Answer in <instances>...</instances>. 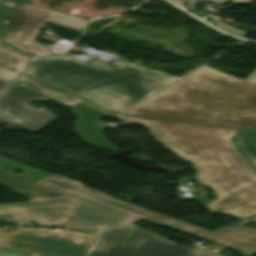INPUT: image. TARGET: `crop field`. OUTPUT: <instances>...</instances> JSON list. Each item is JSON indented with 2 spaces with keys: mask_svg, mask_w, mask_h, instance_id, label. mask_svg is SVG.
<instances>
[{
  "mask_svg": "<svg viewBox=\"0 0 256 256\" xmlns=\"http://www.w3.org/2000/svg\"><path fill=\"white\" fill-rule=\"evenodd\" d=\"M122 118L146 125L165 146L196 165L198 180L217 198L205 205L213 213L240 219L256 213V171L229 139L238 130L126 115Z\"/></svg>",
  "mask_w": 256,
  "mask_h": 256,
  "instance_id": "obj_1",
  "label": "crop field"
},
{
  "mask_svg": "<svg viewBox=\"0 0 256 256\" xmlns=\"http://www.w3.org/2000/svg\"><path fill=\"white\" fill-rule=\"evenodd\" d=\"M124 114L246 130L256 123V86L192 73Z\"/></svg>",
  "mask_w": 256,
  "mask_h": 256,
  "instance_id": "obj_2",
  "label": "crop field"
},
{
  "mask_svg": "<svg viewBox=\"0 0 256 256\" xmlns=\"http://www.w3.org/2000/svg\"><path fill=\"white\" fill-rule=\"evenodd\" d=\"M27 74L114 112L135 105L175 80L131 65L107 70L66 54L32 62Z\"/></svg>",
  "mask_w": 256,
  "mask_h": 256,
  "instance_id": "obj_3",
  "label": "crop field"
},
{
  "mask_svg": "<svg viewBox=\"0 0 256 256\" xmlns=\"http://www.w3.org/2000/svg\"><path fill=\"white\" fill-rule=\"evenodd\" d=\"M13 192L30 201L79 196L65 224L72 228L97 229L124 226L145 218L195 236L209 232L130 203L115 200L106 193L92 190L79 182L58 175H52Z\"/></svg>",
  "mask_w": 256,
  "mask_h": 256,
  "instance_id": "obj_4",
  "label": "crop field"
},
{
  "mask_svg": "<svg viewBox=\"0 0 256 256\" xmlns=\"http://www.w3.org/2000/svg\"><path fill=\"white\" fill-rule=\"evenodd\" d=\"M86 256H219L174 244L133 224L100 229Z\"/></svg>",
  "mask_w": 256,
  "mask_h": 256,
  "instance_id": "obj_5",
  "label": "crop field"
},
{
  "mask_svg": "<svg viewBox=\"0 0 256 256\" xmlns=\"http://www.w3.org/2000/svg\"><path fill=\"white\" fill-rule=\"evenodd\" d=\"M46 22L81 31L86 20L19 3L2 39L34 57L52 56L54 54L48 48L35 41L40 28Z\"/></svg>",
  "mask_w": 256,
  "mask_h": 256,
  "instance_id": "obj_6",
  "label": "crop field"
},
{
  "mask_svg": "<svg viewBox=\"0 0 256 256\" xmlns=\"http://www.w3.org/2000/svg\"><path fill=\"white\" fill-rule=\"evenodd\" d=\"M94 238V235L65 230L19 228L14 233L0 235V245L85 256Z\"/></svg>",
  "mask_w": 256,
  "mask_h": 256,
  "instance_id": "obj_7",
  "label": "crop field"
},
{
  "mask_svg": "<svg viewBox=\"0 0 256 256\" xmlns=\"http://www.w3.org/2000/svg\"><path fill=\"white\" fill-rule=\"evenodd\" d=\"M48 100L14 84L0 93V123H16L30 131H37L58 117L49 111L35 108L28 103Z\"/></svg>",
  "mask_w": 256,
  "mask_h": 256,
  "instance_id": "obj_8",
  "label": "crop field"
},
{
  "mask_svg": "<svg viewBox=\"0 0 256 256\" xmlns=\"http://www.w3.org/2000/svg\"><path fill=\"white\" fill-rule=\"evenodd\" d=\"M78 197L0 205V214L43 226H64Z\"/></svg>",
  "mask_w": 256,
  "mask_h": 256,
  "instance_id": "obj_9",
  "label": "crop field"
},
{
  "mask_svg": "<svg viewBox=\"0 0 256 256\" xmlns=\"http://www.w3.org/2000/svg\"><path fill=\"white\" fill-rule=\"evenodd\" d=\"M72 114L79 117L75 132L82 138L85 144L108 149L118 150L102 134L100 119L111 116L83 103H78L72 110ZM113 117V116H112Z\"/></svg>",
  "mask_w": 256,
  "mask_h": 256,
  "instance_id": "obj_10",
  "label": "crop field"
},
{
  "mask_svg": "<svg viewBox=\"0 0 256 256\" xmlns=\"http://www.w3.org/2000/svg\"><path fill=\"white\" fill-rule=\"evenodd\" d=\"M199 238L217 243L244 254L256 253V231L242 225L222 227ZM222 241L231 242L224 244Z\"/></svg>",
  "mask_w": 256,
  "mask_h": 256,
  "instance_id": "obj_11",
  "label": "crop field"
},
{
  "mask_svg": "<svg viewBox=\"0 0 256 256\" xmlns=\"http://www.w3.org/2000/svg\"><path fill=\"white\" fill-rule=\"evenodd\" d=\"M2 130H0V133ZM22 171V175L14 173ZM52 174L31 168L0 156V184L16 190Z\"/></svg>",
  "mask_w": 256,
  "mask_h": 256,
  "instance_id": "obj_12",
  "label": "crop field"
},
{
  "mask_svg": "<svg viewBox=\"0 0 256 256\" xmlns=\"http://www.w3.org/2000/svg\"><path fill=\"white\" fill-rule=\"evenodd\" d=\"M14 84L18 85V86H21L23 88H26L30 91H33L37 94H40L42 96H45L49 99H52L56 102H59L63 105H66L68 107H71L74 106L75 104H77L78 102H83L87 105H90L94 108H97L95 106H93L92 104H90L89 102L85 101V100H82L80 98H77L75 96H72V95H69V94H66L58 89H55L47 84H44L40 81H37L27 75L23 76L22 78H20L18 81H16ZM99 109V108H97ZM101 111H104L108 114H111L115 117H118V114H115V113H111V112H107L105 110H102V109H99Z\"/></svg>",
  "mask_w": 256,
  "mask_h": 256,
  "instance_id": "obj_13",
  "label": "crop field"
},
{
  "mask_svg": "<svg viewBox=\"0 0 256 256\" xmlns=\"http://www.w3.org/2000/svg\"><path fill=\"white\" fill-rule=\"evenodd\" d=\"M29 59L0 48V79L11 82L25 69Z\"/></svg>",
  "mask_w": 256,
  "mask_h": 256,
  "instance_id": "obj_14",
  "label": "crop field"
},
{
  "mask_svg": "<svg viewBox=\"0 0 256 256\" xmlns=\"http://www.w3.org/2000/svg\"><path fill=\"white\" fill-rule=\"evenodd\" d=\"M236 145L256 170V130L243 131L234 139Z\"/></svg>",
  "mask_w": 256,
  "mask_h": 256,
  "instance_id": "obj_15",
  "label": "crop field"
},
{
  "mask_svg": "<svg viewBox=\"0 0 256 256\" xmlns=\"http://www.w3.org/2000/svg\"><path fill=\"white\" fill-rule=\"evenodd\" d=\"M0 256H61L0 246Z\"/></svg>",
  "mask_w": 256,
  "mask_h": 256,
  "instance_id": "obj_16",
  "label": "crop field"
},
{
  "mask_svg": "<svg viewBox=\"0 0 256 256\" xmlns=\"http://www.w3.org/2000/svg\"><path fill=\"white\" fill-rule=\"evenodd\" d=\"M16 4L17 3L14 2L0 0V36L2 35L4 28L6 26L5 24L2 23L4 19H10Z\"/></svg>",
  "mask_w": 256,
  "mask_h": 256,
  "instance_id": "obj_17",
  "label": "crop field"
},
{
  "mask_svg": "<svg viewBox=\"0 0 256 256\" xmlns=\"http://www.w3.org/2000/svg\"><path fill=\"white\" fill-rule=\"evenodd\" d=\"M195 73L202 74V75H205V76H208V77H211V78H215V79H218V80H221V79H223V78L228 76L226 74H223L221 72H218V71L213 70L211 68H208L206 66H204L201 69L197 70Z\"/></svg>",
  "mask_w": 256,
  "mask_h": 256,
  "instance_id": "obj_18",
  "label": "crop field"
},
{
  "mask_svg": "<svg viewBox=\"0 0 256 256\" xmlns=\"http://www.w3.org/2000/svg\"><path fill=\"white\" fill-rule=\"evenodd\" d=\"M215 23H216L217 27L223 29L225 32H227L229 34L240 36V37H245L246 35H248V33L237 30L221 21H216Z\"/></svg>",
  "mask_w": 256,
  "mask_h": 256,
  "instance_id": "obj_19",
  "label": "crop field"
},
{
  "mask_svg": "<svg viewBox=\"0 0 256 256\" xmlns=\"http://www.w3.org/2000/svg\"><path fill=\"white\" fill-rule=\"evenodd\" d=\"M179 5L183 4L184 2H189L193 5L197 4L198 2H201V1H215V2H220V3H223L225 0H171Z\"/></svg>",
  "mask_w": 256,
  "mask_h": 256,
  "instance_id": "obj_20",
  "label": "crop field"
},
{
  "mask_svg": "<svg viewBox=\"0 0 256 256\" xmlns=\"http://www.w3.org/2000/svg\"><path fill=\"white\" fill-rule=\"evenodd\" d=\"M245 81L247 82H250L252 84H255L256 85V70L251 73L246 79ZM252 128H256V124H254L252 127H250L249 129H252Z\"/></svg>",
  "mask_w": 256,
  "mask_h": 256,
  "instance_id": "obj_21",
  "label": "crop field"
},
{
  "mask_svg": "<svg viewBox=\"0 0 256 256\" xmlns=\"http://www.w3.org/2000/svg\"><path fill=\"white\" fill-rule=\"evenodd\" d=\"M242 221H243V223H245V224H249V223H251V222H253V221L256 222V214L253 215V216H250V217H248V218H245V219H243Z\"/></svg>",
  "mask_w": 256,
  "mask_h": 256,
  "instance_id": "obj_22",
  "label": "crop field"
},
{
  "mask_svg": "<svg viewBox=\"0 0 256 256\" xmlns=\"http://www.w3.org/2000/svg\"><path fill=\"white\" fill-rule=\"evenodd\" d=\"M9 1H15V2H21L32 5L34 0H9Z\"/></svg>",
  "mask_w": 256,
  "mask_h": 256,
  "instance_id": "obj_23",
  "label": "crop field"
},
{
  "mask_svg": "<svg viewBox=\"0 0 256 256\" xmlns=\"http://www.w3.org/2000/svg\"><path fill=\"white\" fill-rule=\"evenodd\" d=\"M7 84H9L8 82L2 81L0 80V90L3 89Z\"/></svg>",
  "mask_w": 256,
  "mask_h": 256,
  "instance_id": "obj_24",
  "label": "crop field"
},
{
  "mask_svg": "<svg viewBox=\"0 0 256 256\" xmlns=\"http://www.w3.org/2000/svg\"><path fill=\"white\" fill-rule=\"evenodd\" d=\"M1 42H4V43H7L11 48H13V49H17L16 48V46H14V45H12V44H10V43H8V42H5V41H3V40H1ZM18 50V49H17ZM21 51V50H20Z\"/></svg>",
  "mask_w": 256,
  "mask_h": 256,
  "instance_id": "obj_25",
  "label": "crop field"
},
{
  "mask_svg": "<svg viewBox=\"0 0 256 256\" xmlns=\"http://www.w3.org/2000/svg\"><path fill=\"white\" fill-rule=\"evenodd\" d=\"M255 1H256V0H249V1H247V2L242 3V5L245 6V5L250 4V3H252V2H255Z\"/></svg>",
  "mask_w": 256,
  "mask_h": 256,
  "instance_id": "obj_26",
  "label": "crop field"
},
{
  "mask_svg": "<svg viewBox=\"0 0 256 256\" xmlns=\"http://www.w3.org/2000/svg\"><path fill=\"white\" fill-rule=\"evenodd\" d=\"M239 1H241V0H234L233 2L237 3V2H239Z\"/></svg>",
  "mask_w": 256,
  "mask_h": 256,
  "instance_id": "obj_27",
  "label": "crop field"
}]
</instances>
